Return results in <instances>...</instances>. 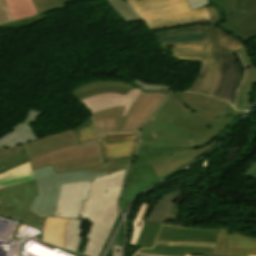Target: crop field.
<instances>
[{"label":"crop field","mask_w":256,"mask_h":256,"mask_svg":"<svg viewBox=\"0 0 256 256\" xmlns=\"http://www.w3.org/2000/svg\"><path fill=\"white\" fill-rule=\"evenodd\" d=\"M162 92H142L127 115H130L123 132H139L167 97Z\"/></svg>","instance_id":"11"},{"label":"crop field","mask_w":256,"mask_h":256,"mask_svg":"<svg viewBox=\"0 0 256 256\" xmlns=\"http://www.w3.org/2000/svg\"><path fill=\"white\" fill-rule=\"evenodd\" d=\"M188 1L192 10L211 6V4L209 3V0H188Z\"/></svg>","instance_id":"43"},{"label":"crop field","mask_w":256,"mask_h":256,"mask_svg":"<svg viewBox=\"0 0 256 256\" xmlns=\"http://www.w3.org/2000/svg\"><path fill=\"white\" fill-rule=\"evenodd\" d=\"M237 57H238V60L241 64V69H242V74H241V80L239 82V85H238V89H237V92L235 94V98H234V103H233V106L236 108V104H237V98H238V93H239V89L245 79V75H246V68H245V64H244V61L242 59V57L239 55V53L237 51H235Z\"/></svg>","instance_id":"41"},{"label":"crop field","mask_w":256,"mask_h":256,"mask_svg":"<svg viewBox=\"0 0 256 256\" xmlns=\"http://www.w3.org/2000/svg\"><path fill=\"white\" fill-rule=\"evenodd\" d=\"M236 117L225 116L218 124L183 111L170 101L144 127L139 146L148 149L193 145L202 147L220 136Z\"/></svg>","instance_id":"2"},{"label":"crop field","mask_w":256,"mask_h":256,"mask_svg":"<svg viewBox=\"0 0 256 256\" xmlns=\"http://www.w3.org/2000/svg\"><path fill=\"white\" fill-rule=\"evenodd\" d=\"M215 254L256 255V238H249L233 231L226 235V229H219Z\"/></svg>","instance_id":"16"},{"label":"crop field","mask_w":256,"mask_h":256,"mask_svg":"<svg viewBox=\"0 0 256 256\" xmlns=\"http://www.w3.org/2000/svg\"><path fill=\"white\" fill-rule=\"evenodd\" d=\"M218 229H195L163 224L157 240L216 242Z\"/></svg>","instance_id":"17"},{"label":"crop field","mask_w":256,"mask_h":256,"mask_svg":"<svg viewBox=\"0 0 256 256\" xmlns=\"http://www.w3.org/2000/svg\"><path fill=\"white\" fill-rule=\"evenodd\" d=\"M126 170L95 178L90 184L87 201H83L79 215L92 225L83 254L98 256L119 213L118 198ZM107 190V192H105ZM80 253V252H79Z\"/></svg>","instance_id":"4"},{"label":"crop field","mask_w":256,"mask_h":256,"mask_svg":"<svg viewBox=\"0 0 256 256\" xmlns=\"http://www.w3.org/2000/svg\"><path fill=\"white\" fill-rule=\"evenodd\" d=\"M162 223L146 220L136 246L153 247L156 235Z\"/></svg>","instance_id":"28"},{"label":"crop field","mask_w":256,"mask_h":256,"mask_svg":"<svg viewBox=\"0 0 256 256\" xmlns=\"http://www.w3.org/2000/svg\"><path fill=\"white\" fill-rule=\"evenodd\" d=\"M12 22L5 0H0V25Z\"/></svg>","instance_id":"40"},{"label":"crop field","mask_w":256,"mask_h":256,"mask_svg":"<svg viewBox=\"0 0 256 256\" xmlns=\"http://www.w3.org/2000/svg\"><path fill=\"white\" fill-rule=\"evenodd\" d=\"M134 83L142 86L143 90L145 91H163L168 93L170 90V87L147 85L138 79Z\"/></svg>","instance_id":"42"},{"label":"crop field","mask_w":256,"mask_h":256,"mask_svg":"<svg viewBox=\"0 0 256 256\" xmlns=\"http://www.w3.org/2000/svg\"><path fill=\"white\" fill-rule=\"evenodd\" d=\"M105 161L133 158L138 145V133L99 136Z\"/></svg>","instance_id":"12"},{"label":"crop field","mask_w":256,"mask_h":256,"mask_svg":"<svg viewBox=\"0 0 256 256\" xmlns=\"http://www.w3.org/2000/svg\"><path fill=\"white\" fill-rule=\"evenodd\" d=\"M124 107H119L115 109H111L108 111H104L101 113L94 114L93 119H103L115 117V125H116V133L122 132V129L127 121L128 116H123L122 112L124 111Z\"/></svg>","instance_id":"31"},{"label":"crop field","mask_w":256,"mask_h":256,"mask_svg":"<svg viewBox=\"0 0 256 256\" xmlns=\"http://www.w3.org/2000/svg\"><path fill=\"white\" fill-rule=\"evenodd\" d=\"M28 162L33 170L51 164L58 173L101 165L104 160L100 142L80 145L73 131L10 149L0 147V173Z\"/></svg>","instance_id":"1"},{"label":"crop field","mask_w":256,"mask_h":256,"mask_svg":"<svg viewBox=\"0 0 256 256\" xmlns=\"http://www.w3.org/2000/svg\"><path fill=\"white\" fill-rule=\"evenodd\" d=\"M230 256H239V255H230Z\"/></svg>","instance_id":"46"},{"label":"crop field","mask_w":256,"mask_h":256,"mask_svg":"<svg viewBox=\"0 0 256 256\" xmlns=\"http://www.w3.org/2000/svg\"><path fill=\"white\" fill-rule=\"evenodd\" d=\"M141 178L130 185L122 194L120 209L124 210L127 203L137 194L159 180L150 163H145L137 167Z\"/></svg>","instance_id":"20"},{"label":"crop field","mask_w":256,"mask_h":256,"mask_svg":"<svg viewBox=\"0 0 256 256\" xmlns=\"http://www.w3.org/2000/svg\"><path fill=\"white\" fill-rule=\"evenodd\" d=\"M90 182L61 185L59 203L55 215L77 218L82 200H86Z\"/></svg>","instance_id":"14"},{"label":"crop field","mask_w":256,"mask_h":256,"mask_svg":"<svg viewBox=\"0 0 256 256\" xmlns=\"http://www.w3.org/2000/svg\"><path fill=\"white\" fill-rule=\"evenodd\" d=\"M168 100L190 114L194 113L216 123L225 115L240 116L244 113V111H236L229 103L201 94L172 92Z\"/></svg>","instance_id":"8"},{"label":"crop field","mask_w":256,"mask_h":256,"mask_svg":"<svg viewBox=\"0 0 256 256\" xmlns=\"http://www.w3.org/2000/svg\"><path fill=\"white\" fill-rule=\"evenodd\" d=\"M33 172L36 177L35 180L39 197L35 196L29 210L42 219H45L46 216H53L58 203L60 184L92 181L94 177L107 174L105 172L94 175V172H86L85 169L57 174L51 165L34 170Z\"/></svg>","instance_id":"6"},{"label":"crop field","mask_w":256,"mask_h":256,"mask_svg":"<svg viewBox=\"0 0 256 256\" xmlns=\"http://www.w3.org/2000/svg\"><path fill=\"white\" fill-rule=\"evenodd\" d=\"M108 91L126 94L129 90L118 88V87H99V88H95L90 91L83 92L75 97L79 100V99H81L85 96L91 95V94H95V93H99V92H108Z\"/></svg>","instance_id":"39"},{"label":"crop field","mask_w":256,"mask_h":256,"mask_svg":"<svg viewBox=\"0 0 256 256\" xmlns=\"http://www.w3.org/2000/svg\"><path fill=\"white\" fill-rule=\"evenodd\" d=\"M66 221L67 219L47 218L44 231V240L63 248Z\"/></svg>","instance_id":"24"},{"label":"crop field","mask_w":256,"mask_h":256,"mask_svg":"<svg viewBox=\"0 0 256 256\" xmlns=\"http://www.w3.org/2000/svg\"><path fill=\"white\" fill-rule=\"evenodd\" d=\"M80 143L98 140L91 117L81 124L77 129L73 130Z\"/></svg>","instance_id":"30"},{"label":"crop field","mask_w":256,"mask_h":256,"mask_svg":"<svg viewBox=\"0 0 256 256\" xmlns=\"http://www.w3.org/2000/svg\"><path fill=\"white\" fill-rule=\"evenodd\" d=\"M35 195L38 196L34 180L0 189V214L43 226L44 220L28 210Z\"/></svg>","instance_id":"7"},{"label":"crop field","mask_w":256,"mask_h":256,"mask_svg":"<svg viewBox=\"0 0 256 256\" xmlns=\"http://www.w3.org/2000/svg\"><path fill=\"white\" fill-rule=\"evenodd\" d=\"M98 134L115 133L114 118L94 121Z\"/></svg>","instance_id":"38"},{"label":"crop field","mask_w":256,"mask_h":256,"mask_svg":"<svg viewBox=\"0 0 256 256\" xmlns=\"http://www.w3.org/2000/svg\"><path fill=\"white\" fill-rule=\"evenodd\" d=\"M142 92L140 88H134L126 95L117 93H100L85 97L79 101L91 111L92 115L96 112L104 111L107 109L115 108L118 106H124L126 109L123 112L125 115L129 109L132 107L134 101Z\"/></svg>","instance_id":"13"},{"label":"crop field","mask_w":256,"mask_h":256,"mask_svg":"<svg viewBox=\"0 0 256 256\" xmlns=\"http://www.w3.org/2000/svg\"><path fill=\"white\" fill-rule=\"evenodd\" d=\"M244 175L256 179V163L250 169H248Z\"/></svg>","instance_id":"44"},{"label":"crop field","mask_w":256,"mask_h":256,"mask_svg":"<svg viewBox=\"0 0 256 256\" xmlns=\"http://www.w3.org/2000/svg\"><path fill=\"white\" fill-rule=\"evenodd\" d=\"M111 7L126 21H138L140 17L124 0H108Z\"/></svg>","instance_id":"32"},{"label":"crop field","mask_w":256,"mask_h":256,"mask_svg":"<svg viewBox=\"0 0 256 256\" xmlns=\"http://www.w3.org/2000/svg\"><path fill=\"white\" fill-rule=\"evenodd\" d=\"M77 1H83V0H33L39 15L45 14L47 12L57 10V9H65L66 8L65 4H67L68 2H77Z\"/></svg>","instance_id":"29"},{"label":"crop field","mask_w":256,"mask_h":256,"mask_svg":"<svg viewBox=\"0 0 256 256\" xmlns=\"http://www.w3.org/2000/svg\"><path fill=\"white\" fill-rule=\"evenodd\" d=\"M43 114V112L30 110L28 118L22 124L13 127L14 130L11 133L0 138V146L3 145L5 148H10L37 139L33 135L30 126Z\"/></svg>","instance_id":"18"},{"label":"crop field","mask_w":256,"mask_h":256,"mask_svg":"<svg viewBox=\"0 0 256 256\" xmlns=\"http://www.w3.org/2000/svg\"><path fill=\"white\" fill-rule=\"evenodd\" d=\"M181 193V189L178 188L162 196L155 207L151 210L147 219L162 222L167 216L170 208L173 206L171 202L181 196Z\"/></svg>","instance_id":"25"},{"label":"crop field","mask_w":256,"mask_h":256,"mask_svg":"<svg viewBox=\"0 0 256 256\" xmlns=\"http://www.w3.org/2000/svg\"><path fill=\"white\" fill-rule=\"evenodd\" d=\"M239 53L241 54V56L243 57L246 63L247 76L241 87L236 109L248 110V108L252 105L249 101V92H250L251 85L256 83V67L253 66L247 54L246 48L239 50Z\"/></svg>","instance_id":"22"},{"label":"crop field","mask_w":256,"mask_h":256,"mask_svg":"<svg viewBox=\"0 0 256 256\" xmlns=\"http://www.w3.org/2000/svg\"><path fill=\"white\" fill-rule=\"evenodd\" d=\"M121 248L122 246L114 245L111 256H121Z\"/></svg>","instance_id":"45"},{"label":"crop field","mask_w":256,"mask_h":256,"mask_svg":"<svg viewBox=\"0 0 256 256\" xmlns=\"http://www.w3.org/2000/svg\"><path fill=\"white\" fill-rule=\"evenodd\" d=\"M35 179L28 164L0 174V188L23 183Z\"/></svg>","instance_id":"23"},{"label":"crop field","mask_w":256,"mask_h":256,"mask_svg":"<svg viewBox=\"0 0 256 256\" xmlns=\"http://www.w3.org/2000/svg\"><path fill=\"white\" fill-rule=\"evenodd\" d=\"M206 10L211 20L210 26L177 29L155 35L160 37L185 33H210L208 43L178 42L161 45L163 49H171L172 57L178 61L201 62L198 76L187 91L211 95L219 79V63L213 60L212 45L229 50H238L245 46L217 28L218 15L213 7H208Z\"/></svg>","instance_id":"3"},{"label":"crop field","mask_w":256,"mask_h":256,"mask_svg":"<svg viewBox=\"0 0 256 256\" xmlns=\"http://www.w3.org/2000/svg\"><path fill=\"white\" fill-rule=\"evenodd\" d=\"M155 245L215 248L216 243L157 241Z\"/></svg>","instance_id":"37"},{"label":"crop field","mask_w":256,"mask_h":256,"mask_svg":"<svg viewBox=\"0 0 256 256\" xmlns=\"http://www.w3.org/2000/svg\"><path fill=\"white\" fill-rule=\"evenodd\" d=\"M82 220L69 219L65 230L64 248L77 252L80 246Z\"/></svg>","instance_id":"27"},{"label":"crop field","mask_w":256,"mask_h":256,"mask_svg":"<svg viewBox=\"0 0 256 256\" xmlns=\"http://www.w3.org/2000/svg\"><path fill=\"white\" fill-rule=\"evenodd\" d=\"M99 86H118V87H123V88L129 89V90H131L133 88L131 85L122 83L120 81H98V82H93V83H89V84H84V85L76 88L73 91V94L76 95L83 91L90 90V89H93V88L99 87Z\"/></svg>","instance_id":"33"},{"label":"crop field","mask_w":256,"mask_h":256,"mask_svg":"<svg viewBox=\"0 0 256 256\" xmlns=\"http://www.w3.org/2000/svg\"><path fill=\"white\" fill-rule=\"evenodd\" d=\"M225 16L222 29L244 41L256 42V0H226Z\"/></svg>","instance_id":"9"},{"label":"crop field","mask_w":256,"mask_h":256,"mask_svg":"<svg viewBox=\"0 0 256 256\" xmlns=\"http://www.w3.org/2000/svg\"><path fill=\"white\" fill-rule=\"evenodd\" d=\"M6 2L13 21L38 15L32 0H6Z\"/></svg>","instance_id":"26"},{"label":"crop field","mask_w":256,"mask_h":256,"mask_svg":"<svg viewBox=\"0 0 256 256\" xmlns=\"http://www.w3.org/2000/svg\"><path fill=\"white\" fill-rule=\"evenodd\" d=\"M132 159L125 160V161H118V162H105V164L97 167H93L90 169H86L87 171H95L96 173L107 171V173H111L121 169H127L128 164Z\"/></svg>","instance_id":"35"},{"label":"crop field","mask_w":256,"mask_h":256,"mask_svg":"<svg viewBox=\"0 0 256 256\" xmlns=\"http://www.w3.org/2000/svg\"><path fill=\"white\" fill-rule=\"evenodd\" d=\"M192 146L188 147H176V148H165V149H155V150H148L147 146L139 147V152L136 156V159L132 162V164L129 167L126 183L124 190L135 180L140 178L139 173L137 171L136 166L151 160H154L156 158L178 152L183 150L191 149Z\"/></svg>","instance_id":"19"},{"label":"crop field","mask_w":256,"mask_h":256,"mask_svg":"<svg viewBox=\"0 0 256 256\" xmlns=\"http://www.w3.org/2000/svg\"><path fill=\"white\" fill-rule=\"evenodd\" d=\"M213 56L216 62H220V80L212 96L232 105L241 74L240 64L233 51L213 46Z\"/></svg>","instance_id":"10"},{"label":"crop field","mask_w":256,"mask_h":256,"mask_svg":"<svg viewBox=\"0 0 256 256\" xmlns=\"http://www.w3.org/2000/svg\"><path fill=\"white\" fill-rule=\"evenodd\" d=\"M220 139L221 138L219 137L213 140L208 145L199 149L183 151V152L171 154L172 156L168 155V156L156 159L154 161H151V164L154 170L156 171L157 175L161 179L162 177L180 169L189 161L197 158L198 156L212 149Z\"/></svg>","instance_id":"15"},{"label":"crop field","mask_w":256,"mask_h":256,"mask_svg":"<svg viewBox=\"0 0 256 256\" xmlns=\"http://www.w3.org/2000/svg\"><path fill=\"white\" fill-rule=\"evenodd\" d=\"M151 30L209 20L205 8L191 11L187 0H130Z\"/></svg>","instance_id":"5"},{"label":"crop field","mask_w":256,"mask_h":256,"mask_svg":"<svg viewBox=\"0 0 256 256\" xmlns=\"http://www.w3.org/2000/svg\"><path fill=\"white\" fill-rule=\"evenodd\" d=\"M209 34H185L170 37L158 38L160 43L178 42V41H202L207 42Z\"/></svg>","instance_id":"34"},{"label":"crop field","mask_w":256,"mask_h":256,"mask_svg":"<svg viewBox=\"0 0 256 256\" xmlns=\"http://www.w3.org/2000/svg\"><path fill=\"white\" fill-rule=\"evenodd\" d=\"M214 251L215 249L155 246L152 249H142L137 253L155 256H190V254H204V256H229L214 255Z\"/></svg>","instance_id":"21"},{"label":"crop field","mask_w":256,"mask_h":256,"mask_svg":"<svg viewBox=\"0 0 256 256\" xmlns=\"http://www.w3.org/2000/svg\"><path fill=\"white\" fill-rule=\"evenodd\" d=\"M140 255V254H139ZM146 256H149V255H146Z\"/></svg>","instance_id":"47"},{"label":"crop field","mask_w":256,"mask_h":256,"mask_svg":"<svg viewBox=\"0 0 256 256\" xmlns=\"http://www.w3.org/2000/svg\"><path fill=\"white\" fill-rule=\"evenodd\" d=\"M148 204L146 203H142L137 215H136V218L133 222V234H132V238H131V241H130V245H133L135 246L136 242H137V239L139 237V234L141 232V229L143 227V224L145 221L143 220H140L146 207H147Z\"/></svg>","instance_id":"36"}]
</instances>
